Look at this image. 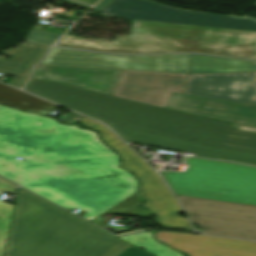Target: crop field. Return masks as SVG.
<instances>
[{
	"label": "crop field",
	"mask_w": 256,
	"mask_h": 256,
	"mask_svg": "<svg viewBox=\"0 0 256 256\" xmlns=\"http://www.w3.org/2000/svg\"><path fill=\"white\" fill-rule=\"evenodd\" d=\"M58 1L69 3V4H72V5H76V6H80L82 8L88 7L87 5L77 3V2H74V1H71V0H58Z\"/></svg>",
	"instance_id": "26"
},
{
	"label": "crop field",
	"mask_w": 256,
	"mask_h": 256,
	"mask_svg": "<svg viewBox=\"0 0 256 256\" xmlns=\"http://www.w3.org/2000/svg\"><path fill=\"white\" fill-rule=\"evenodd\" d=\"M118 165L95 132L0 106V175L66 209L86 211L83 218L101 228L106 212L151 215L130 209L142 199L134 176Z\"/></svg>",
	"instance_id": "1"
},
{
	"label": "crop field",
	"mask_w": 256,
	"mask_h": 256,
	"mask_svg": "<svg viewBox=\"0 0 256 256\" xmlns=\"http://www.w3.org/2000/svg\"><path fill=\"white\" fill-rule=\"evenodd\" d=\"M100 14L143 21L256 31L250 19L178 10L147 0H113Z\"/></svg>",
	"instance_id": "9"
},
{
	"label": "crop field",
	"mask_w": 256,
	"mask_h": 256,
	"mask_svg": "<svg viewBox=\"0 0 256 256\" xmlns=\"http://www.w3.org/2000/svg\"><path fill=\"white\" fill-rule=\"evenodd\" d=\"M256 71V61L190 54L189 73H233Z\"/></svg>",
	"instance_id": "16"
},
{
	"label": "crop field",
	"mask_w": 256,
	"mask_h": 256,
	"mask_svg": "<svg viewBox=\"0 0 256 256\" xmlns=\"http://www.w3.org/2000/svg\"><path fill=\"white\" fill-rule=\"evenodd\" d=\"M177 196L202 232L256 241V206Z\"/></svg>",
	"instance_id": "7"
},
{
	"label": "crop field",
	"mask_w": 256,
	"mask_h": 256,
	"mask_svg": "<svg viewBox=\"0 0 256 256\" xmlns=\"http://www.w3.org/2000/svg\"><path fill=\"white\" fill-rule=\"evenodd\" d=\"M224 143L256 149V133L231 129Z\"/></svg>",
	"instance_id": "19"
},
{
	"label": "crop field",
	"mask_w": 256,
	"mask_h": 256,
	"mask_svg": "<svg viewBox=\"0 0 256 256\" xmlns=\"http://www.w3.org/2000/svg\"><path fill=\"white\" fill-rule=\"evenodd\" d=\"M123 71L37 65L30 77L113 96Z\"/></svg>",
	"instance_id": "13"
},
{
	"label": "crop field",
	"mask_w": 256,
	"mask_h": 256,
	"mask_svg": "<svg viewBox=\"0 0 256 256\" xmlns=\"http://www.w3.org/2000/svg\"><path fill=\"white\" fill-rule=\"evenodd\" d=\"M57 45L109 53L202 52L256 58V32L133 20L128 36L114 41L66 35Z\"/></svg>",
	"instance_id": "4"
},
{
	"label": "crop field",
	"mask_w": 256,
	"mask_h": 256,
	"mask_svg": "<svg viewBox=\"0 0 256 256\" xmlns=\"http://www.w3.org/2000/svg\"><path fill=\"white\" fill-rule=\"evenodd\" d=\"M24 90L105 122L130 143L256 165V150L222 144L231 123L33 78Z\"/></svg>",
	"instance_id": "2"
},
{
	"label": "crop field",
	"mask_w": 256,
	"mask_h": 256,
	"mask_svg": "<svg viewBox=\"0 0 256 256\" xmlns=\"http://www.w3.org/2000/svg\"><path fill=\"white\" fill-rule=\"evenodd\" d=\"M186 162L185 173L162 172L174 193L256 205V168L192 158Z\"/></svg>",
	"instance_id": "5"
},
{
	"label": "crop field",
	"mask_w": 256,
	"mask_h": 256,
	"mask_svg": "<svg viewBox=\"0 0 256 256\" xmlns=\"http://www.w3.org/2000/svg\"><path fill=\"white\" fill-rule=\"evenodd\" d=\"M151 234L152 232H144L139 234L121 236L120 238L130 242L131 244L139 248L141 246L146 247L143 250L154 256H183V254L181 253H177L160 243H156Z\"/></svg>",
	"instance_id": "18"
},
{
	"label": "crop field",
	"mask_w": 256,
	"mask_h": 256,
	"mask_svg": "<svg viewBox=\"0 0 256 256\" xmlns=\"http://www.w3.org/2000/svg\"><path fill=\"white\" fill-rule=\"evenodd\" d=\"M252 74H255V75H256V72H252Z\"/></svg>",
	"instance_id": "28"
},
{
	"label": "crop field",
	"mask_w": 256,
	"mask_h": 256,
	"mask_svg": "<svg viewBox=\"0 0 256 256\" xmlns=\"http://www.w3.org/2000/svg\"><path fill=\"white\" fill-rule=\"evenodd\" d=\"M7 231L0 230V256L3 254L6 238H7Z\"/></svg>",
	"instance_id": "23"
},
{
	"label": "crop field",
	"mask_w": 256,
	"mask_h": 256,
	"mask_svg": "<svg viewBox=\"0 0 256 256\" xmlns=\"http://www.w3.org/2000/svg\"><path fill=\"white\" fill-rule=\"evenodd\" d=\"M59 36V34L32 28L25 40L45 45H51L57 40Z\"/></svg>",
	"instance_id": "21"
},
{
	"label": "crop field",
	"mask_w": 256,
	"mask_h": 256,
	"mask_svg": "<svg viewBox=\"0 0 256 256\" xmlns=\"http://www.w3.org/2000/svg\"><path fill=\"white\" fill-rule=\"evenodd\" d=\"M16 186L0 179V191H5L10 194H15ZM13 205L0 202V228L8 230L10 224Z\"/></svg>",
	"instance_id": "20"
},
{
	"label": "crop field",
	"mask_w": 256,
	"mask_h": 256,
	"mask_svg": "<svg viewBox=\"0 0 256 256\" xmlns=\"http://www.w3.org/2000/svg\"><path fill=\"white\" fill-rule=\"evenodd\" d=\"M118 256H151V255L131 245Z\"/></svg>",
	"instance_id": "22"
},
{
	"label": "crop field",
	"mask_w": 256,
	"mask_h": 256,
	"mask_svg": "<svg viewBox=\"0 0 256 256\" xmlns=\"http://www.w3.org/2000/svg\"><path fill=\"white\" fill-rule=\"evenodd\" d=\"M250 74H187L183 94L256 105V76Z\"/></svg>",
	"instance_id": "10"
},
{
	"label": "crop field",
	"mask_w": 256,
	"mask_h": 256,
	"mask_svg": "<svg viewBox=\"0 0 256 256\" xmlns=\"http://www.w3.org/2000/svg\"><path fill=\"white\" fill-rule=\"evenodd\" d=\"M0 104L48 115L58 106L0 83Z\"/></svg>",
	"instance_id": "17"
},
{
	"label": "crop field",
	"mask_w": 256,
	"mask_h": 256,
	"mask_svg": "<svg viewBox=\"0 0 256 256\" xmlns=\"http://www.w3.org/2000/svg\"><path fill=\"white\" fill-rule=\"evenodd\" d=\"M105 227H108V228H112L113 231L115 232H120V231H126V230H132L130 228H127V227H116V226H112V227H109V226H105ZM138 231H142L141 229H138V230H135V231H132V232H128V233H133V232H138ZM128 233H123V234H128ZM123 234H118V235H123Z\"/></svg>",
	"instance_id": "24"
},
{
	"label": "crop field",
	"mask_w": 256,
	"mask_h": 256,
	"mask_svg": "<svg viewBox=\"0 0 256 256\" xmlns=\"http://www.w3.org/2000/svg\"><path fill=\"white\" fill-rule=\"evenodd\" d=\"M111 0H101L94 8L93 10L100 11L106 4H108Z\"/></svg>",
	"instance_id": "25"
},
{
	"label": "crop field",
	"mask_w": 256,
	"mask_h": 256,
	"mask_svg": "<svg viewBox=\"0 0 256 256\" xmlns=\"http://www.w3.org/2000/svg\"><path fill=\"white\" fill-rule=\"evenodd\" d=\"M47 46L27 42L17 49H8L5 53L11 56L9 61L0 58V72L14 78L9 84L21 88L30 75L33 65L42 60Z\"/></svg>",
	"instance_id": "15"
},
{
	"label": "crop field",
	"mask_w": 256,
	"mask_h": 256,
	"mask_svg": "<svg viewBox=\"0 0 256 256\" xmlns=\"http://www.w3.org/2000/svg\"><path fill=\"white\" fill-rule=\"evenodd\" d=\"M128 246L20 189L4 256H117Z\"/></svg>",
	"instance_id": "3"
},
{
	"label": "crop field",
	"mask_w": 256,
	"mask_h": 256,
	"mask_svg": "<svg viewBox=\"0 0 256 256\" xmlns=\"http://www.w3.org/2000/svg\"><path fill=\"white\" fill-rule=\"evenodd\" d=\"M89 128L99 130L102 139L122 156V165L140 179V194L145 198L143 207L157 214L158 222L169 229L192 231L186 218L180 217L182 210L155 171L125 146L110 130L97 121L78 120Z\"/></svg>",
	"instance_id": "6"
},
{
	"label": "crop field",
	"mask_w": 256,
	"mask_h": 256,
	"mask_svg": "<svg viewBox=\"0 0 256 256\" xmlns=\"http://www.w3.org/2000/svg\"><path fill=\"white\" fill-rule=\"evenodd\" d=\"M158 241L189 256H256V243L194 234L158 231Z\"/></svg>",
	"instance_id": "14"
},
{
	"label": "crop field",
	"mask_w": 256,
	"mask_h": 256,
	"mask_svg": "<svg viewBox=\"0 0 256 256\" xmlns=\"http://www.w3.org/2000/svg\"><path fill=\"white\" fill-rule=\"evenodd\" d=\"M186 74L124 71L114 96L165 107L171 92H183Z\"/></svg>",
	"instance_id": "11"
},
{
	"label": "crop field",
	"mask_w": 256,
	"mask_h": 256,
	"mask_svg": "<svg viewBox=\"0 0 256 256\" xmlns=\"http://www.w3.org/2000/svg\"><path fill=\"white\" fill-rule=\"evenodd\" d=\"M79 1L86 2V3H89L91 5H93L97 2V0H79Z\"/></svg>",
	"instance_id": "27"
},
{
	"label": "crop field",
	"mask_w": 256,
	"mask_h": 256,
	"mask_svg": "<svg viewBox=\"0 0 256 256\" xmlns=\"http://www.w3.org/2000/svg\"><path fill=\"white\" fill-rule=\"evenodd\" d=\"M167 108L234 123V129L256 132V106L172 93Z\"/></svg>",
	"instance_id": "12"
},
{
	"label": "crop field",
	"mask_w": 256,
	"mask_h": 256,
	"mask_svg": "<svg viewBox=\"0 0 256 256\" xmlns=\"http://www.w3.org/2000/svg\"><path fill=\"white\" fill-rule=\"evenodd\" d=\"M189 54L120 56L52 47L43 64L188 73Z\"/></svg>",
	"instance_id": "8"
},
{
	"label": "crop field",
	"mask_w": 256,
	"mask_h": 256,
	"mask_svg": "<svg viewBox=\"0 0 256 256\" xmlns=\"http://www.w3.org/2000/svg\"><path fill=\"white\" fill-rule=\"evenodd\" d=\"M256 19V18H255Z\"/></svg>",
	"instance_id": "29"
}]
</instances>
